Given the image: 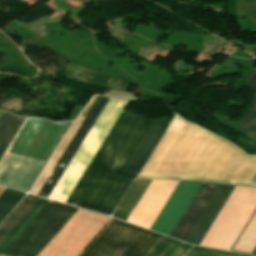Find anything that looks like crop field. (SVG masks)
Returning <instances> with one entry per match:
<instances>
[{
	"instance_id": "crop-field-19",
	"label": "crop field",
	"mask_w": 256,
	"mask_h": 256,
	"mask_svg": "<svg viewBox=\"0 0 256 256\" xmlns=\"http://www.w3.org/2000/svg\"><path fill=\"white\" fill-rule=\"evenodd\" d=\"M252 254H253V255H256V247H255V249L253 250Z\"/></svg>"
},
{
	"instance_id": "crop-field-6",
	"label": "crop field",
	"mask_w": 256,
	"mask_h": 256,
	"mask_svg": "<svg viewBox=\"0 0 256 256\" xmlns=\"http://www.w3.org/2000/svg\"><path fill=\"white\" fill-rule=\"evenodd\" d=\"M161 237L113 219L81 256H145Z\"/></svg>"
},
{
	"instance_id": "crop-field-18",
	"label": "crop field",
	"mask_w": 256,
	"mask_h": 256,
	"mask_svg": "<svg viewBox=\"0 0 256 256\" xmlns=\"http://www.w3.org/2000/svg\"><path fill=\"white\" fill-rule=\"evenodd\" d=\"M190 249L197 250V251H203V252H209V253H215V254H221V255H227V256H247V255L235 254V253L218 251V250L201 248V247H195V246H192ZM191 250L186 252V254L184 256H221V255H215V254H209V253H203V252H197V251H191Z\"/></svg>"
},
{
	"instance_id": "crop-field-4",
	"label": "crop field",
	"mask_w": 256,
	"mask_h": 256,
	"mask_svg": "<svg viewBox=\"0 0 256 256\" xmlns=\"http://www.w3.org/2000/svg\"><path fill=\"white\" fill-rule=\"evenodd\" d=\"M127 103L121 100L109 99L53 189L49 199L65 203L116 118Z\"/></svg>"
},
{
	"instance_id": "crop-field-12",
	"label": "crop field",
	"mask_w": 256,
	"mask_h": 256,
	"mask_svg": "<svg viewBox=\"0 0 256 256\" xmlns=\"http://www.w3.org/2000/svg\"><path fill=\"white\" fill-rule=\"evenodd\" d=\"M107 100H108L107 97L98 96L97 100L95 101L92 108L88 112L87 116L85 117L84 121L82 122L79 129L75 133L74 137L70 141L69 145L67 146L66 150L64 151L61 158L57 162L53 171L49 175L48 179L44 183L41 190L39 191L38 196L48 198L49 194L51 193L52 189L54 188L55 184L57 183L58 179L60 178L61 174L63 173L64 169L66 168L67 164L69 163L70 159L75 153L76 149L78 148L81 141L87 134L88 130L94 123L95 119L101 112Z\"/></svg>"
},
{
	"instance_id": "crop-field-9",
	"label": "crop field",
	"mask_w": 256,
	"mask_h": 256,
	"mask_svg": "<svg viewBox=\"0 0 256 256\" xmlns=\"http://www.w3.org/2000/svg\"><path fill=\"white\" fill-rule=\"evenodd\" d=\"M77 208L51 201L5 256H36Z\"/></svg>"
},
{
	"instance_id": "crop-field-13",
	"label": "crop field",
	"mask_w": 256,
	"mask_h": 256,
	"mask_svg": "<svg viewBox=\"0 0 256 256\" xmlns=\"http://www.w3.org/2000/svg\"><path fill=\"white\" fill-rule=\"evenodd\" d=\"M96 98H97V96L93 97V99L90 101V103L87 105V107L84 109V111L81 113L80 116L85 117V115L87 114L88 110L90 109V107L92 106V104L94 103ZM82 120H83V118L78 117L77 120L74 122V124L71 126V128L68 130L65 137L61 141L60 145L56 149L55 153L51 157L50 161L48 162V164L44 168L43 172L39 176L36 183L34 184L30 193L37 195L38 191L42 187L43 183L45 182L46 178L50 174L51 170L53 169L54 165L58 161L59 157L61 156L62 152L66 148L67 144L69 143L70 139L74 135L75 131L77 130V128L80 125V123L82 122Z\"/></svg>"
},
{
	"instance_id": "crop-field-5",
	"label": "crop field",
	"mask_w": 256,
	"mask_h": 256,
	"mask_svg": "<svg viewBox=\"0 0 256 256\" xmlns=\"http://www.w3.org/2000/svg\"><path fill=\"white\" fill-rule=\"evenodd\" d=\"M256 208V189L236 186L200 245L230 250Z\"/></svg>"
},
{
	"instance_id": "crop-field-17",
	"label": "crop field",
	"mask_w": 256,
	"mask_h": 256,
	"mask_svg": "<svg viewBox=\"0 0 256 256\" xmlns=\"http://www.w3.org/2000/svg\"><path fill=\"white\" fill-rule=\"evenodd\" d=\"M25 195L23 192L6 188L0 195V222Z\"/></svg>"
},
{
	"instance_id": "crop-field-10",
	"label": "crop field",
	"mask_w": 256,
	"mask_h": 256,
	"mask_svg": "<svg viewBox=\"0 0 256 256\" xmlns=\"http://www.w3.org/2000/svg\"><path fill=\"white\" fill-rule=\"evenodd\" d=\"M202 183L179 181L151 230L170 236Z\"/></svg>"
},
{
	"instance_id": "crop-field-16",
	"label": "crop field",
	"mask_w": 256,
	"mask_h": 256,
	"mask_svg": "<svg viewBox=\"0 0 256 256\" xmlns=\"http://www.w3.org/2000/svg\"><path fill=\"white\" fill-rule=\"evenodd\" d=\"M256 245V213L249 222L242 236L238 240L234 249L251 253L252 249Z\"/></svg>"
},
{
	"instance_id": "crop-field-11",
	"label": "crop field",
	"mask_w": 256,
	"mask_h": 256,
	"mask_svg": "<svg viewBox=\"0 0 256 256\" xmlns=\"http://www.w3.org/2000/svg\"><path fill=\"white\" fill-rule=\"evenodd\" d=\"M37 198L27 196L17 209L9 216V218L0 227V241L11 230V228L19 221L26 211L34 204ZM48 201L38 199L28 212L20 219V221L12 228V230L0 242V252L5 253L6 250L14 243V241L22 234V232L31 224L38 214L46 207Z\"/></svg>"
},
{
	"instance_id": "crop-field-15",
	"label": "crop field",
	"mask_w": 256,
	"mask_h": 256,
	"mask_svg": "<svg viewBox=\"0 0 256 256\" xmlns=\"http://www.w3.org/2000/svg\"><path fill=\"white\" fill-rule=\"evenodd\" d=\"M167 237L163 236L160 241L153 247V249L146 255V256H152L158 248L165 242ZM174 241V239L168 238L166 242L159 248V250L153 255V256H161L163 252L171 245V243ZM179 243V241L175 240L172 245L164 252L162 256H168V254L176 247V245ZM184 245V243L180 242L177 247L169 254V256H174ZM189 247V245L185 244L182 249L175 255V256H181L186 249Z\"/></svg>"
},
{
	"instance_id": "crop-field-2",
	"label": "crop field",
	"mask_w": 256,
	"mask_h": 256,
	"mask_svg": "<svg viewBox=\"0 0 256 256\" xmlns=\"http://www.w3.org/2000/svg\"><path fill=\"white\" fill-rule=\"evenodd\" d=\"M177 119L224 142L247 158L249 156L230 142L213 135L176 115ZM160 140L140 174L200 176L252 183L256 176V158L247 159L224 143L175 119ZM138 175L137 178L199 180L245 186L252 184L181 176Z\"/></svg>"
},
{
	"instance_id": "crop-field-3",
	"label": "crop field",
	"mask_w": 256,
	"mask_h": 256,
	"mask_svg": "<svg viewBox=\"0 0 256 256\" xmlns=\"http://www.w3.org/2000/svg\"><path fill=\"white\" fill-rule=\"evenodd\" d=\"M66 124L27 118L8 152L44 161ZM8 152L0 160V183L27 191L45 161Z\"/></svg>"
},
{
	"instance_id": "crop-field-14",
	"label": "crop field",
	"mask_w": 256,
	"mask_h": 256,
	"mask_svg": "<svg viewBox=\"0 0 256 256\" xmlns=\"http://www.w3.org/2000/svg\"><path fill=\"white\" fill-rule=\"evenodd\" d=\"M2 111L0 110V114ZM25 118L15 117L7 112L0 116V159L11 143Z\"/></svg>"
},
{
	"instance_id": "crop-field-1",
	"label": "crop field",
	"mask_w": 256,
	"mask_h": 256,
	"mask_svg": "<svg viewBox=\"0 0 256 256\" xmlns=\"http://www.w3.org/2000/svg\"><path fill=\"white\" fill-rule=\"evenodd\" d=\"M152 119L122 111L66 204L97 212ZM168 122L154 120L98 212L111 215Z\"/></svg>"
},
{
	"instance_id": "crop-field-8",
	"label": "crop field",
	"mask_w": 256,
	"mask_h": 256,
	"mask_svg": "<svg viewBox=\"0 0 256 256\" xmlns=\"http://www.w3.org/2000/svg\"><path fill=\"white\" fill-rule=\"evenodd\" d=\"M150 180H136L114 217L126 221ZM178 181L151 180L127 222L150 229Z\"/></svg>"
},
{
	"instance_id": "crop-field-7",
	"label": "crop field",
	"mask_w": 256,
	"mask_h": 256,
	"mask_svg": "<svg viewBox=\"0 0 256 256\" xmlns=\"http://www.w3.org/2000/svg\"><path fill=\"white\" fill-rule=\"evenodd\" d=\"M217 187L218 185L215 184L203 183L190 206L171 234V237L184 241ZM233 188L234 186L219 185L211 200L185 239V242L199 245L200 241L204 237Z\"/></svg>"
}]
</instances>
